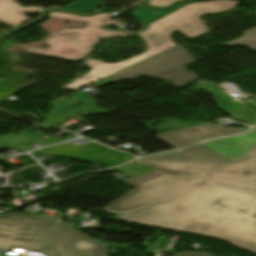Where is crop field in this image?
<instances>
[{"instance_id":"1","label":"crop field","mask_w":256,"mask_h":256,"mask_svg":"<svg viewBox=\"0 0 256 256\" xmlns=\"http://www.w3.org/2000/svg\"><path fill=\"white\" fill-rule=\"evenodd\" d=\"M119 220L211 238L256 254V195L240 191L202 186Z\"/></svg>"},{"instance_id":"2","label":"crop field","mask_w":256,"mask_h":256,"mask_svg":"<svg viewBox=\"0 0 256 256\" xmlns=\"http://www.w3.org/2000/svg\"><path fill=\"white\" fill-rule=\"evenodd\" d=\"M238 6L237 1L230 0H215L186 5L149 24L148 26L150 28L148 30L139 33L140 37L148 45L145 53L118 64H105L102 61L89 59L87 66L92 68V71L65 88L78 89L175 46L174 42L170 39V34L174 30H178L190 39L206 33L208 29L198 18L200 15L205 13L225 12Z\"/></svg>"},{"instance_id":"3","label":"crop field","mask_w":256,"mask_h":256,"mask_svg":"<svg viewBox=\"0 0 256 256\" xmlns=\"http://www.w3.org/2000/svg\"><path fill=\"white\" fill-rule=\"evenodd\" d=\"M207 183L256 194V145L246 158L194 176L167 174L133 189L106 208L129 211Z\"/></svg>"},{"instance_id":"4","label":"crop field","mask_w":256,"mask_h":256,"mask_svg":"<svg viewBox=\"0 0 256 256\" xmlns=\"http://www.w3.org/2000/svg\"><path fill=\"white\" fill-rule=\"evenodd\" d=\"M50 16L69 18L88 22L84 29H63L46 43L51 47L48 50L31 48L27 52L47 54L68 59L79 60L92 51V46L99 43V38H108L114 35L125 36L129 33L99 29L110 17V14L102 13L96 16L80 17L77 15L51 12Z\"/></svg>"},{"instance_id":"5","label":"crop field","mask_w":256,"mask_h":256,"mask_svg":"<svg viewBox=\"0 0 256 256\" xmlns=\"http://www.w3.org/2000/svg\"><path fill=\"white\" fill-rule=\"evenodd\" d=\"M56 221L14 213L0 216V256L13 247L42 251Z\"/></svg>"},{"instance_id":"6","label":"crop field","mask_w":256,"mask_h":256,"mask_svg":"<svg viewBox=\"0 0 256 256\" xmlns=\"http://www.w3.org/2000/svg\"><path fill=\"white\" fill-rule=\"evenodd\" d=\"M207 155L209 157H206ZM228 162L230 161L208 150L201 144L178 154L155 156L135 161V163L174 175L196 174Z\"/></svg>"},{"instance_id":"7","label":"crop field","mask_w":256,"mask_h":256,"mask_svg":"<svg viewBox=\"0 0 256 256\" xmlns=\"http://www.w3.org/2000/svg\"><path fill=\"white\" fill-rule=\"evenodd\" d=\"M60 222L45 251L47 256H106L108 244L100 243Z\"/></svg>"},{"instance_id":"8","label":"crop field","mask_w":256,"mask_h":256,"mask_svg":"<svg viewBox=\"0 0 256 256\" xmlns=\"http://www.w3.org/2000/svg\"><path fill=\"white\" fill-rule=\"evenodd\" d=\"M194 62H196V59L186 48L178 45L107 78L112 81L118 79H134L140 75L155 78Z\"/></svg>"},{"instance_id":"9","label":"crop field","mask_w":256,"mask_h":256,"mask_svg":"<svg viewBox=\"0 0 256 256\" xmlns=\"http://www.w3.org/2000/svg\"><path fill=\"white\" fill-rule=\"evenodd\" d=\"M242 128L226 127L206 123L174 132H170L164 135L157 136L161 141L173 146L175 149L186 146L198 139L206 138L210 136L225 135L243 131Z\"/></svg>"},{"instance_id":"10","label":"crop field","mask_w":256,"mask_h":256,"mask_svg":"<svg viewBox=\"0 0 256 256\" xmlns=\"http://www.w3.org/2000/svg\"><path fill=\"white\" fill-rule=\"evenodd\" d=\"M202 144L224 158L234 161L245 157L256 144V129L238 137L222 138Z\"/></svg>"},{"instance_id":"11","label":"crop field","mask_w":256,"mask_h":256,"mask_svg":"<svg viewBox=\"0 0 256 256\" xmlns=\"http://www.w3.org/2000/svg\"><path fill=\"white\" fill-rule=\"evenodd\" d=\"M68 159L105 165L107 167L117 165L132 157L113 151L104 146L92 143L68 156Z\"/></svg>"},{"instance_id":"12","label":"crop field","mask_w":256,"mask_h":256,"mask_svg":"<svg viewBox=\"0 0 256 256\" xmlns=\"http://www.w3.org/2000/svg\"><path fill=\"white\" fill-rule=\"evenodd\" d=\"M12 1L13 0H0V22L13 28L29 20L23 15L24 13L33 12L40 14L43 10L42 7L23 8L18 6L21 3H13Z\"/></svg>"},{"instance_id":"13","label":"crop field","mask_w":256,"mask_h":256,"mask_svg":"<svg viewBox=\"0 0 256 256\" xmlns=\"http://www.w3.org/2000/svg\"><path fill=\"white\" fill-rule=\"evenodd\" d=\"M97 103L95 102H92V103H89L87 105H84V106H81V107H78L76 109H73V110H70V111H67L65 113H62V114H59L57 116H54V117H51L47 120H44L42 123L43 124H47V125H51V126H54L60 122H63L71 117H73L74 115L86 110L92 114H105V113H109V111L105 110V109H102V108H98V107H95Z\"/></svg>"},{"instance_id":"14","label":"crop field","mask_w":256,"mask_h":256,"mask_svg":"<svg viewBox=\"0 0 256 256\" xmlns=\"http://www.w3.org/2000/svg\"><path fill=\"white\" fill-rule=\"evenodd\" d=\"M184 5H186V3H182L171 9H165V10H158L154 8H142L133 12L132 14L143 24H149Z\"/></svg>"},{"instance_id":"15","label":"crop field","mask_w":256,"mask_h":256,"mask_svg":"<svg viewBox=\"0 0 256 256\" xmlns=\"http://www.w3.org/2000/svg\"><path fill=\"white\" fill-rule=\"evenodd\" d=\"M182 70H176V71H173L171 73H168V74H165L163 76H160V78L172 85H175L177 87H180L190 81H193V80H197L198 77L192 73V72H189L183 68H181ZM169 79H173V80H176L175 82L171 83L167 80Z\"/></svg>"},{"instance_id":"16","label":"crop field","mask_w":256,"mask_h":256,"mask_svg":"<svg viewBox=\"0 0 256 256\" xmlns=\"http://www.w3.org/2000/svg\"><path fill=\"white\" fill-rule=\"evenodd\" d=\"M206 85L212 87V89H208L202 85H200V86L207 89L210 93H212L214 95L215 99L220 102V107L223 110L227 111V110H231L234 108L242 107L240 104L233 101L229 96H227L224 92H222L216 86L212 85L209 82Z\"/></svg>"},{"instance_id":"17","label":"crop field","mask_w":256,"mask_h":256,"mask_svg":"<svg viewBox=\"0 0 256 256\" xmlns=\"http://www.w3.org/2000/svg\"><path fill=\"white\" fill-rule=\"evenodd\" d=\"M225 113L236 120L246 122L250 125H253L256 123V112L247 106L238 108L235 110L227 111ZM241 115H243L244 117Z\"/></svg>"},{"instance_id":"18","label":"crop field","mask_w":256,"mask_h":256,"mask_svg":"<svg viewBox=\"0 0 256 256\" xmlns=\"http://www.w3.org/2000/svg\"><path fill=\"white\" fill-rule=\"evenodd\" d=\"M101 3H102L101 0H77V3L71 4L70 6H64L61 8L71 10V11L86 13V12H91Z\"/></svg>"},{"instance_id":"19","label":"crop field","mask_w":256,"mask_h":256,"mask_svg":"<svg viewBox=\"0 0 256 256\" xmlns=\"http://www.w3.org/2000/svg\"><path fill=\"white\" fill-rule=\"evenodd\" d=\"M39 137L38 135H28V134H22V135H13V134H9L6 135L4 137L0 138V149L24 142V141H28L30 139Z\"/></svg>"},{"instance_id":"20","label":"crop field","mask_w":256,"mask_h":256,"mask_svg":"<svg viewBox=\"0 0 256 256\" xmlns=\"http://www.w3.org/2000/svg\"><path fill=\"white\" fill-rule=\"evenodd\" d=\"M244 44L256 50V28L251 29L243 34V36L235 41L223 44L226 46Z\"/></svg>"},{"instance_id":"21","label":"crop field","mask_w":256,"mask_h":256,"mask_svg":"<svg viewBox=\"0 0 256 256\" xmlns=\"http://www.w3.org/2000/svg\"><path fill=\"white\" fill-rule=\"evenodd\" d=\"M87 144H89V143H87ZM87 144H85V145H87ZM85 145H82L75 149L67 144H63V145L53 146V147L46 148V149H41V150H38L35 152H37L41 155L50 153V154H55V155H59V156H65V155L85 146Z\"/></svg>"},{"instance_id":"22","label":"crop field","mask_w":256,"mask_h":256,"mask_svg":"<svg viewBox=\"0 0 256 256\" xmlns=\"http://www.w3.org/2000/svg\"><path fill=\"white\" fill-rule=\"evenodd\" d=\"M165 174L166 173L154 171V172H151V173H147V174H144V175L133 177L132 179H129L127 182H125V184L137 187V186H140L144 183H147V182H149L153 179H156L160 176H163Z\"/></svg>"},{"instance_id":"23","label":"crop field","mask_w":256,"mask_h":256,"mask_svg":"<svg viewBox=\"0 0 256 256\" xmlns=\"http://www.w3.org/2000/svg\"><path fill=\"white\" fill-rule=\"evenodd\" d=\"M117 171L129 176V177H133V176H137L140 174H144L147 172H151L154 171L153 169L147 168L145 166L139 165V164H135L132 163L130 165H127L123 168L120 169H116Z\"/></svg>"},{"instance_id":"24","label":"crop field","mask_w":256,"mask_h":256,"mask_svg":"<svg viewBox=\"0 0 256 256\" xmlns=\"http://www.w3.org/2000/svg\"><path fill=\"white\" fill-rule=\"evenodd\" d=\"M11 83L12 81L5 80V79L0 81V99L12 93H17L18 91H20V89L11 87L10 86Z\"/></svg>"},{"instance_id":"25","label":"crop field","mask_w":256,"mask_h":256,"mask_svg":"<svg viewBox=\"0 0 256 256\" xmlns=\"http://www.w3.org/2000/svg\"><path fill=\"white\" fill-rule=\"evenodd\" d=\"M179 0H151L150 6L168 7Z\"/></svg>"},{"instance_id":"26","label":"crop field","mask_w":256,"mask_h":256,"mask_svg":"<svg viewBox=\"0 0 256 256\" xmlns=\"http://www.w3.org/2000/svg\"><path fill=\"white\" fill-rule=\"evenodd\" d=\"M212 256L209 253H203V252H182L178 254L177 256Z\"/></svg>"},{"instance_id":"27","label":"crop field","mask_w":256,"mask_h":256,"mask_svg":"<svg viewBox=\"0 0 256 256\" xmlns=\"http://www.w3.org/2000/svg\"><path fill=\"white\" fill-rule=\"evenodd\" d=\"M36 143H38L39 145L43 146V145H48L50 144L49 142H47L46 140H44L43 138L39 137L36 139H33Z\"/></svg>"},{"instance_id":"28","label":"crop field","mask_w":256,"mask_h":256,"mask_svg":"<svg viewBox=\"0 0 256 256\" xmlns=\"http://www.w3.org/2000/svg\"><path fill=\"white\" fill-rule=\"evenodd\" d=\"M18 149H20L21 151L25 152L28 150H31L30 148H28L26 145H24L23 143L15 145Z\"/></svg>"},{"instance_id":"29","label":"crop field","mask_w":256,"mask_h":256,"mask_svg":"<svg viewBox=\"0 0 256 256\" xmlns=\"http://www.w3.org/2000/svg\"><path fill=\"white\" fill-rule=\"evenodd\" d=\"M249 106L253 107L254 109H256V101L251 102V103H247Z\"/></svg>"},{"instance_id":"30","label":"crop field","mask_w":256,"mask_h":256,"mask_svg":"<svg viewBox=\"0 0 256 256\" xmlns=\"http://www.w3.org/2000/svg\"><path fill=\"white\" fill-rule=\"evenodd\" d=\"M0 195H2V194H0ZM0 205H2V202H0Z\"/></svg>"}]
</instances>
